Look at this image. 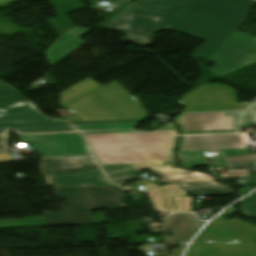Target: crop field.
Listing matches in <instances>:
<instances>
[{
  "mask_svg": "<svg viewBox=\"0 0 256 256\" xmlns=\"http://www.w3.org/2000/svg\"><path fill=\"white\" fill-rule=\"evenodd\" d=\"M253 0H189L164 30L206 40L191 56L205 61L240 27Z\"/></svg>",
  "mask_w": 256,
  "mask_h": 256,
  "instance_id": "1",
  "label": "crop field"
},
{
  "mask_svg": "<svg viewBox=\"0 0 256 256\" xmlns=\"http://www.w3.org/2000/svg\"><path fill=\"white\" fill-rule=\"evenodd\" d=\"M140 122L73 125L83 134L94 155L150 153L173 157L177 132L169 122L151 132L133 130Z\"/></svg>",
  "mask_w": 256,
  "mask_h": 256,
  "instance_id": "2",
  "label": "crop field"
},
{
  "mask_svg": "<svg viewBox=\"0 0 256 256\" xmlns=\"http://www.w3.org/2000/svg\"><path fill=\"white\" fill-rule=\"evenodd\" d=\"M86 196L92 209L99 208H115L123 207L120 199L123 194V189L118 186L113 187H83ZM57 199H64L67 207L65 211L50 213L43 211L44 216L26 217L23 219L13 220H28L41 219L32 221H16V222H0L1 224H17V223H33L42 222V224L29 225H5L4 227H32V226H59V225H80L91 224L89 208L87 201L84 198L81 187H63L58 188L57 192L53 193ZM3 221V220H0Z\"/></svg>",
  "mask_w": 256,
  "mask_h": 256,
  "instance_id": "3",
  "label": "crop field"
},
{
  "mask_svg": "<svg viewBox=\"0 0 256 256\" xmlns=\"http://www.w3.org/2000/svg\"><path fill=\"white\" fill-rule=\"evenodd\" d=\"M118 84V83H117ZM114 81L66 107L69 122L140 120L146 112Z\"/></svg>",
  "mask_w": 256,
  "mask_h": 256,
  "instance_id": "4",
  "label": "crop field"
},
{
  "mask_svg": "<svg viewBox=\"0 0 256 256\" xmlns=\"http://www.w3.org/2000/svg\"><path fill=\"white\" fill-rule=\"evenodd\" d=\"M179 10L155 9L134 4L105 29L126 34L122 40L136 46L151 45L157 31H162Z\"/></svg>",
  "mask_w": 256,
  "mask_h": 256,
  "instance_id": "5",
  "label": "crop field"
},
{
  "mask_svg": "<svg viewBox=\"0 0 256 256\" xmlns=\"http://www.w3.org/2000/svg\"><path fill=\"white\" fill-rule=\"evenodd\" d=\"M175 119L183 135L238 133L242 127L256 126V111L178 114Z\"/></svg>",
  "mask_w": 256,
  "mask_h": 256,
  "instance_id": "6",
  "label": "crop field"
},
{
  "mask_svg": "<svg viewBox=\"0 0 256 256\" xmlns=\"http://www.w3.org/2000/svg\"><path fill=\"white\" fill-rule=\"evenodd\" d=\"M208 60L217 62L210 71L218 77L256 61V38L236 31Z\"/></svg>",
  "mask_w": 256,
  "mask_h": 256,
  "instance_id": "7",
  "label": "crop field"
},
{
  "mask_svg": "<svg viewBox=\"0 0 256 256\" xmlns=\"http://www.w3.org/2000/svg\"><path fill=\"white\" fill-rule=\"evenodd\" d=\"M179 104L183 112H210L242 110L249 103H236L234 89L211 84L184 95Z\"/></svg>",
  "mask_w": 256,
  "mask_h": 256,
  "instance_id": "8",
  "label": "crop field"
},
{
  "mask_svg": "<svg viewBox=\"0 0 256 256\" xmlns=\"http://www.w3.org/2000/svg\"><path fill=\"white\" fill-rule=\"evenodd\" d=\"M40 157L90 155L85 140L78 132L19 135Z\"/></svg>",
  "mask_w": 256,
  "mask_h": 256,
  "instance_id": "9",
  "label": "crop field"
},
{
  "mask_svg": "<svg viewBox=\"0 0 256 256\" xmlns=\"http://www.w3.org/2000/svg\"><path fill=\"white\" fill-rule=\"evenodd\" d=\"M95 157L108 177L111 179V182L115 184L141 179L138 174L131 171V166L135 163L151 162L169 166L175 164L174 159L155 158L148 154H126Z\"/></svg>",
  "mask_w": 256,
  "mask_h": 256,
  "instance_id": "10",
  "label": "crop field"
},
{
  "mask_svg": "<svg viewBox=\"0 0 256 256\" xmlns=\"http://www.w3.org/2000/svg\"><path fill=\"white\" fill-rule=\"evenodd\" d=\"M235 208H230L218 217L194 242H227L256 240V226L233 219L225 221L226 214L234 212Z\"/></svg>",
  "mask_w": 256,
  "mask_h": 256,
  "instance_id": "11",
  "label": "crop field"
},
{
  "mask_svg": "<svg viewBox=\"0 0 256 256\" xmlns=\"http://www.w3.org/2000/svg\"><path fill=\"white\" fill-rule=\"evenodd\" d=\"M144 186L158 211H192V197H186L188 191L180 188L178 184L161 188L157 185Z\"/></svg>",
  "mask_w": 256,
  "mask_h": 256,
  "instance_id": "12",
  "label": "crop field"
},
{
  "mask_svg": "<svg viewBox=\"0 0 256 256\" xmlns=\"http://www.w3.org/2000/svg\"><path fill=\"white\" fill-rule=\"evenodd\" d=\"M246 148L242 134L183 136L178 151Z\"/></svg>",
  "mask_w": 256,
  "mask_h": 256,
  "instance_id": "13",
  "label": "crop field"
},
{
  "mask_svg": "<svg viewBox=\"0 0 256 256\" xmlns=\"http://www.w3.org/2000/svg\"><path fill=\"white\" fill-rule=\"evenodd\" d=\"M65 122L62 118L45 117L29 100L0 106V125Z\"/></svg>",
  "mask_w": 256,
  "mask_h": 256,
  "instance_id": "14",
  "label": "crop field"
},
{
  "mask_svg": "<svg viewBox=\"0 0 256 256\" xmlns=\"http://www.w3.org/2000/svg\"><path fill=\"white\" fill-rule=\"evenodd\" d=\"M50 176L48 187L81 186L83 183L106 178L100 168L77 172H51L43 173ZM83 186H112L107 179L84 184Z\"/></svg>",
  "mask_w": 256,
  "mask_h": 256,
  "instance_id": "15",
  "label": "crop field"
},
{
  "mask_svg": "<svg viewBox=\"0 0 256 256\" xmlns=\"http://www.w3.org/2000/svg\"><path fill=\"white\" fill-rule=\"evenodd\" d=\"M187 256H256L253 243L193 244Z\"/></svg>",
  "mask_w": 256,
  "mask_h": 256,
  "instance_id": "16",
  "label": "crop field"
},
{
  "mask_svg": "<svg viewBox=\"0 0 256 256\" xmlns=\"http://www.w3.org/2000/svg\"><path fill=\"white\" fill-rule=\"evenodd\" d=\"M203 222L197 221L192 214H176L168 218L167 227L172 237H167L166 243H185L195 234Z\"/></svg>",
  "mask_w": 256,
  "mask_h": 256,
  "instance_id": "17",
  "label": "crop field"
},
{
  "mask_svg": "<svg viewBox=\"0 0 256 256\" xmlns=\"http://www.w3.org/2000/svg\"><path fill=\"white\" fill-rule=\"evenodd\" d=\"M90 29H74L68 31L63 37V42H57L47 53L46 57L50 64L55 65L83 41L79 38ZM63 37L61 39H63Z\"/></svg>",
  "mask_w": 256,
  "mask_h": 256,
  "instance_id": "18",
  "label": "crop field"
},
{
  "mask_svg": "<svg viewBox=\"0 0 256 256\" xmlns=\"http://www.w3.org/2000/svg\"><path fill=\"white\" fill-rule=\"evenodd\" d=\"M49 165H52L49 166ZM42 171L80 170L97 166L93 157L42 159Z\"/></svg>",
  "mask_w": 256,
  "mask_h": 256,
  "instance_id": "19",
  "label": "crop field"
},
{
  "mask_svg": "<svg viewBox=\"0 0 256 256\" xmlns=\"http://www.w3.org/2000/svg\"><path fill=\"white\" fill-rule=\"evenodd\" d=\"M100 87L102 86L88 77L62 92L60 105L61 107L67 106Z\"/></svg>",
  "mask_w": 256,
  "mask_h": 256,
  "instance_id": "20",
  "label": "crop field"
},
{
  "mask_svg": "<svg viewBox=\"0 0 256 256\" xmlns=\"http://www.w3.org/2000/svg\"><path fill=\"white\" fill-rule=\"evenodd\" d=\"M132 171L135 173H147L157 179L175 176L180 173H186L189 176H194L197 174V173L181 170L175 166L168 167L160 164H150V163L135 164L132 167Z\"/></svg>",
  "mask_w": 256,
  "mask_h": 256,
  "instance_id": "21",
  "label": "crop field"
},
{
  "mask_svg": "<svg viewBox=\"0 0 256 256\" xmlns=\"http://www.w3.org/2000/svg\"><path fill=\"white\" fill-rule=\"evenodd\" d=\"M184 189L191 191L194 196H211L231 194L230 187L215 183L179 184Z\"/></svg>",
  "mask_w": 256,
  "mask_h": 256,
  "instance_id": "22",
  "label": "crop field"
},
{
  "mask_svg": "<svg viewBox=\"0 0 256 256\" xmlns=\"http://www.w3.org/2000/svg\"><path fill=\"white\" fill-rule=\"evenodd\" d=\"M7 131H16L18 133H31L74 131V129L70 125L0 127V134H7Z\"/></svg>",
  "mask_w": 256,
  "mask_h": 256,
  "instance_id": "23",
  "label": "crop field"
},
{
  "mask_svg": "<svg viewBox=\"0 0 256 256\" xmlns=\"http://www.w3.org/2000/svg\"><path fill=\"white\" fill-rule=\"evenodd\" d=\"M224 164L256 161V156H249L246 149L218 150Z\"/></svg>",
  "mask_w": 256,
  "mask_h": 256,
  "instance_id": "24",
  "label": "crop field"
},
{
  "mask_svg": "<svg viewBox=\"0 0 256 256\" xmlns=\"http://www.w3.org/2000/svg\"><path fill=\"white\" fill-rule=\"evenodd\" d=\"M50 3L56 10V15H63L84 8L80 0H43Z\"/></svg>",
  "mask_w": 256,
  "mask_h": 256,
  "instance_id": "25",
  "label": "crop field"
},
{
  "mask_svg": "<svg viewBox=\"0 0 256 256\" xmlns=\"http://www.w3.org/2000/svg\"><path fill=\"white\" fill-rule=\"evenodd\" d=\"M178 158L183 161L184 168L206 165L203 160L202 151L177 152Z\"/></svg>",
  "mask_w": 256,
  "mask_h": 256,
  "instance_id": "26",
  "label": "crop field"
},
{
  "mask_svg": "<svg viewBox=\"0 0 256 256\" xmlns=\"http://www.w3.org/2000/svg\"><path fill=\"white\" fill-rule=\"evenodd\" d=\"M196 182H215V180L196 175L194 177H189L188 175L181 174L175 177L168 179H160L158 184H167V183H196Z\"/></svg>",
  "mask_w": 256,
  "mask_h": 256,
  "instance_id": "27",
  "label": "crop field"
},
{
  "mask_svg": "<svg viewBox=\"0 0 256 256\" xmlns=\"http://www.w3.org/2000/svg\"><path fill=\"white\" fill-rule=\"evenodd\" d=\"M184 2L185 0H139L137 3L148 6L179 9Z\"/></svg>",
  "mask_w": 256,
  "mask_h": 256,
  "instance_id": "28",
  "label": "crop field"
},
{
  "mask_svg": "<svg viewBox=\"0 0 256 256\" xmlns=\"http://www.w3.org/2000/svg\"><path fill=\"white\" fill-rule=\"evenodd\" d=\"M49 23L61 36L68 28L74 27L66 15L48 19Z\"/></svg>",
  "mask_w": 256,
  "mask_h": 256,
  "instance_id": "29",
  "label": "crop field"
},
{
  "mask_svg": "<svg viewBox=\"0 0 256 256\" xmlns=\"http://www.w3.org/2000/svg\"><path fill=\"white\" fill-rule=\"evenodd\" d=\"M7 136H0V162L13 160L6 144Z\"/></svg>",
  "mask_w": 256,
  "mask_h": 256,
  "instance_id": "30",
  "label": "crop field"
},
{
  "mask_svg": "<svg viewBox=\"0 0 256 256\" xmlns=\"http://www.w3.org/2000/svg\"><path fill=\"white\" fill-rule=\"evenodd\" d=\"M132 3H128V2H123L121 1L119 4H117V6H120L118 9H116L114 12H112L111 14H109V16L103 20L98 26L97 28H101L102 26H104L106 23H108L111 19H113L116 15H118L121 11H123L125 8H127L128 6H130Z\"/></svg>",
  "mask_w": 256,
  "mask_h": 256,
  "instance_id": "31",
  "label": "crop field"
},
{
  "mask_svg": "<svg viewBox=\"0 0 256 256\" xmlns=\"http://www.w3.org/2000/svg\"><path fill=\"white\" fill-rule=\"evenodd\" d=\"M25 98L20 94H13L5 97L0 98V105L7 104V103H12L20 100H24Z\"/></svg>",
  "mask_w": 256,
  "mask_h": 256,
  "instance_id": "32",
  "label": "crop field"
},
{
  "mask_svg": "<svg viewBox=\"0 0 256 256\" xmlns=\"http://www.w3.org/2000/svg\"><path fill=\"white\" fill-rule=\"evenodd\" d=\"M242 213L247 218L256 219V205L244 206L242 208Z\"/></svg>",
  "mask_w": 256,
  "mask_h": 256,
  "instance_id": "33",
  "label": "crop field"
},
{
  "mask_svg": "<svg viewBox=\"0 0 256 256\" xmlns=\"http://www.w3.org/2000/svg\"><path fill=\"white\" fill-rule=\"evenodd\" d=\"M17 92L18 91H16L15 89H13L10 86L3 87V88H0V97L5 96V95H9V94H13V93H17Z\"/></svg>",
  "mask_w": 256,
  "mask_h": 256,
  "instance_id": "34",
  "label": "crop field"
},
{
  "mask_svg": "<svg viewBox=\"0 0 256 256\" xmlns=\"http://www.w3.org/2000/svg\"><path fill=\"white\" fill-rule=\"evenodd\" d=\"M93 220L94 222H104L107 221V218L104 214H96L93 216Z\"/></svg>",
  "mask_w": 256,
  "mask_h": 256,
  "instance_id": "35",
  "label": "crop field"
},
{
  "mask_svg": "<svg viewBox=\"0 0 256 256\" xmlns=\"http://www.w3.org/2000/svg\"><path fill=\"white\" fill-rule=\"evenodd\" d=\"M248 167H256V164H243V165L227 166V168H248Z\"/></svg>",
  "mask_w": 256,
  "mask_h": 256,
  "instance_id": "36",
  "label": "crop field"
},
{
  "mask_svg": "<svg viewBox=\"0 0 256 256\" xmlns=\"http://www.w3.org/2000/svg\"><path fill=\"white\" fill-rule=\"evenodd\" d=\"M244 109H256V98Z\"/></svg>",
  "mask_w": 256,
  "mask_h": 256,
  "instance_id": "37",
  "label": "crop field"
},
{
  "mask_svg": "<svg viewBox=\"0 0 256 256\" xmlns=\"http://www.w3.org/2000/svg\"><path fill=\"white\" fill-rule=\"evenodd\" d=\"M14 1H17V0H0V6L4 5V4H7V3L14 2Z\"/></svg>",
  "mask_w": 256,
  "mask_h": 256,
  "instance_id": "38",
  "label": "crop field"
},
{
  "mask_svg": "<svg viewBox=\"0 0 256 256\" xmlns=\"http://www.w3.org/2000/svg\"><path fill=\"white\" fill-rule=\"evenodd\" d=\"M89 1H90V4L95 5V0H89ZM108 1H114V2H117L118 0H108Z\"/></svg>",
  "mask_w": 256,
  "mask_h": 256,
  "instance_id": "39",
  "label": "crop field"
},
{
  "mask_svg": "<svg viewBox=\"0 0 256 256\" xmlns=\"http://www.w3.org/2000/svg\"><path fill=\"white\" fill-rule=\"evenodd\" d=\"M7 86L4 82L0 81V87Z\"/></svg>",
  "mask_w": 256,
  "mask_h": 256,
  "instance_id": "40",
  "label": "crop field"
}]
</instances>
